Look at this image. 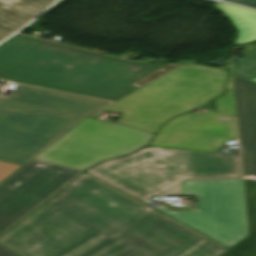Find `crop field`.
Segmentation results:
<instances>
[{
	"label": "crop field",
	"instance_id": "1",
	"mask_svg": "<svg viewBox=\"0 0 256 256\" xmlns=\"http://www.w3.org/2000/svg\"><path fill=\"white\" fill-rule=\"evenodd\" d=\"M0 243L21 256H219L228 250L85 173Z\"/></svg>",
	"mask_w": 256,
	"mask_h": 256
},
{
	"label": "crop field",
	"instance_id": "2",
	"mask_svg": "<svg viewBox=\"0 0 256 256\" xmlns=\"http://www.w3.org/2000/svg\"><path fill=\"white\" fill-rule=\"evenodd\" d=\"M163 65L129 62L19 34L0 45V79L112 101Z\"/></svg>",
	"mask_w": 256,
	"mask_h": 256
},
{
	"label": "crop field",
	"instance_id": "3",
	"mask_svg": "<svg viewBox=\"0 0 256 256\" xmlns=\"http://www.w3.org/2000/svg\"><path fill=\"white\" fill-rule=\"evenodd\" d=\"M110 102L30 86L0 97V160L24 164Z\"/></svg>",
	"mask_w": 256,
	"mask_h": 256
},
{
	"label": "crop field",
	"instance_id": "4",
	"mask_svg": "<svg viewBox=\"0 0 256 256\" xmlns=\"http://www.w3.org/2000/svg\"><path fill=\"white\" fill-rule=\"evenodd\" d=\"M87 172L151 206L152 196L179 194L180 180L241 177L239 155L155 147Z\"/></svg>",
	"mask_w": 256,
	"mask_h": 256
},
{
	"label": "crop field",
	"instance_id": "5",
	"mask_svg": "<svg viewBox=\"0 0 256 256\" xmlns=\"http://www.w3.org/2000/svg\"><path fill=\"white\" fill-rule=\"evenodd\" d=\"M223 68L182 64L103 109L117 122L155 134L167 119L196 109L223 91Z\"/></svg>",
	"mask_w": 256,
	"mask_h": 256
},
{
	"label": "crop field",
	"instance_id": "6",
	"mask_svg": "<svg viewBox=\"0 0 256 256\" xmlns=\"http://www.w3.org/2000/svg\"><path fill=\"white\" fill-rule=\"evenodd\" d=\"M183 195H195L197 211L154 208L228 246L248 236L242 179L182 183Z\"/></svg>",
	"mask_w": 256,
	"mask_h": 256
},
{
	"label": "crop field",
	"instance_id": "7",
	"mask_svg": "<svg viewBox=\"0 0 256 256\" xmlns=\"http://www.w3.org/2000/svg\"><path fill=\"white\" fill-rule=\"evenodd\" d=\"M151 134L87 117L34 159L82 170L145 145Z\"/></svg>",
	"mask_w": 256,
	"mask_h": 256
},
{
	"label": "crop field",
	"instance_id": "8",
	"mask_svg": "<svg viewBox=\"0 0 256 256\" xmlns=\"http://www.w3.org/2000/svg\"><path fill=\"white\" fill-rule=\"evenodd\" d=\"M81 171L31 159L0 183V234ZM0 256H18L0 246Z\"/></svg>",
	"mask_w": 256,
	"mask_h": 256
},
{
	"label": "crop field",
	"instance_id": "9",
	"mask_svg": "<svg viewBox=\"0 0 256 256\" xmlns=\"http://www.w3.org/2000/svg\"><path fill=\"white\" fill-rule=\"evenodd\" d=\"M236 138L235 118L189 113L165 123L150 146L219 152L225 141Z\"/></svg>",
	"mask_w": 256,
	"mask_h": 256
},
{
	"label": "crop field",
	"instance_id": "10",
	"mask_svg": "<svg viewBox=\"0 0 256 256\" xmlns=\"http://www.w3.org/2000/svg\"><path fill=\"white\" fill-rule=\"evenodd\" d=\"M244 176L256 175V83L234 78Z\"/></svg>",
	"mask_w": 256,
	"mask_h": 256
},
{
	"label": "crop field",
	"instance_id": "11",
	"mask_svg": "<svg viewBox=\"0 0 256 256\" xmlns=\"http://www.w3.org/2000/svg\"><path fill=\"white\" fill-rule=\"evenodd\" d=\"M54 0H0V41L20 28Z\"/></svg>",
	"mask_w": 256,
	"mask_h": 256
},
{
	"label": "crop field",
	"instance_id": "12",
	"mask_svg": "<svg viewBox=\"0 0 256 256\" xmlns=\"http://www.w3.org/2000/svg\"><path fill=\"white\" fill-rule=\"evenodd\" d=\"M216 5L232 19L238 29L236 44L256 40V11L222 2Z\"/></svg>",
	"mask_w": 256,
	"mask_h": 256
},
{
	"label": "crop field",
	"instance_id": "13",
	"mask_svg": "<svg viewBox=\"0 0 256 256\" xmlns=\"http://www.w3.org/2000/svg\"><path fill=\"white\" fill-rule=\"evenodd\" d=\"M243 183L249 234L256 235V181L243 179Z\"/></svg>",
	"mask_w": 256,
	"mask_h": 256
},
{
	"label": "crop field",
	"instance_id": "14",
	"mask_svg": "<svg viewBox=\"0 0 256 256\" xmlns=\"http://www.w3.org/2000/svg\"><path fill=\"white\" fill-rule=\"evenodd\" d=\"M216 110L219 113L235 116V100L233 89V74H229V78L226 81V91L222 97L214 100Z\"/></svg>",
	"mask_w": 256,
	"mask_h": 256
},
{
	"label": "crop field",
	"instance_id": "15",
	"mask_svg": "<svg viewBox=\"0 0 256 256\" xmlns=\"http://www.w3.org/2000/svg\"><path fill=\"white\" fill-rule=\"evenodd\" d=\"M234 74L245 79L256 77V50L241 58Z\"/></svg>",
	"mask_w": 256,
	"mask_h": 256
},
{
	"label": "crop field",
	"instance_id": "16",
	"mask_svg": "<svg viewBox=\"0 0 256 256\" xmlns=\"http://www.w3.org/2000/svg\"><path fill=\"white\" fill-rule=\"evenodd\" d=\"M230 249L240 256H256V236L249 235L239 244Z\"/></svg>",
	"mask_w": 256,
	"mask_h": 256
},
{
	"label": "crop field",
	"instance_id": "17",
	"mask_svg": "<svg viewBox=\"0 0 256 256\" xmlns=\"http://www.w3.org/2000/svg\"><path fill=\"white\" fill-rule=\"evenodd\" d=\"M180 64H166L163 67L157 69L156 71L150 73L149 75L143 77L142 79L138 80L137 82L133 83L132 85L140 88L145 84L151 82L152 80L156 79L157 77L163 75L164 73L168 72L169 70L175 68Z\"/></svg>",
	"mask_w": 256,
	"mask_h": 256
},
{
	"label": "crop field",
	"instance_id": "18",
	"mask_svg": "<svg viewBox=\"0 0 256 256\" xmlns=\"http://www.w3.org/2000/svg\"><path fill=\"white\" fill-rule=\"evenodd\" d=\"M20 165L0 161V182L15 171Z\"/></svg>",
	"mask_w": 256,
	"mask_h": 256
},
{
	"label": "crop field",
	"instance_id": "19",
	"mask_svg": "<svg viewBox=\"0 0 256 256\" xmlns=\"http://www.w3.org/2000/svg\"><path fill=\"white\" fill-rule=\"evenodd\" d=\"M228 1L243 3L256 8V0H228Z\"/></svg>",
	"mask_w": 256,
	"mask_h": 256
},
{
	"label": "crop field",
	"instance_id": "20",
	"mask_svg": "<svg viewBox=\"0 0 256 256\" xmlns=\"http://www.w3.org/2000/svg\"><path fill=\"white\" fill-rule=\"evenodd\" d=\"M220 256H236V255H234L233 253H231V252L228 250V251H226L225 253H223V254L220 255Z\"/></svg>",
	"mask_w": 256,
	"mask_h": 256
},
{
	"label": "crop field",
	"instance_id": "21",
	"mask_svg": "<svg viewBox=\"0 0 256 256\" xmlns=\"http://www.w3.org/2000/svg\"><path fill=\"white\" fill-rule=\"evenodd\" d=\"M249 80L256 82V78H253V79H249Z\"/></svg>",
	"mask_w": 256,
	"mask_h": 256
},
{
	"label": "crop field",
	"instance_id": "22",
	"mask_svg": "<svg viewBox=\"0 0 256 256\" xmlns=\"http://www.w3.org/2000/svg\"><path fill=\"white\" fill-rule=\"evenodd\" d=\"M230 250V249H229ZM231 252H233L232 250H230ZM234 253V252H233ZM234 254H236V253H234ZM237 255V254H236ZM239 256V255H238Z\"/></svg>",
	"mask_w": 256,
	"mask_h": 256
}]
</instances>
